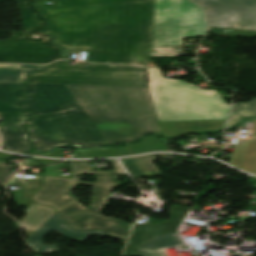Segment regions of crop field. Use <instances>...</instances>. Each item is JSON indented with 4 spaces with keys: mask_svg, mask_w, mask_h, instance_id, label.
<instances>
[{
    "mask_svg": "<svg viewBox=\"0 0 256 256\" xmlns=\"http://www.w3.org/2000/svg\"><path fill=\"white\" fill-rule=\"evenodd\" d=\"M34 5L51 23L45 33L62 49H87L86 61L148 65L154 0L52 9Z\"/></svg>",
    "mask_w": 256,
    "mask_h": 256,
    "instance_id": "8a807250",
    "label": "crop field"
},
{
    "mask_svg": "<svg viewBox=\"0 0 256 256\" xmlns=\"http://www.w3.org/2000/svg\"><path fill=\"white\" fill-rule=\"evenodd\" d=\"M108 145L161 133L148 88L66 84Z\"/></svg>",
    "mask_w": 256,
    "mask_h": 256,
    "instance_id": "ac0d7876",
    "label": "crop field"
},
{
    "mask_svg": "<svg viewBox=\"0 0 256 256\" xmlns=\"http://www.w3.org/2000/svg\"><path fill=\"white\" fill-rule=\"evenodd\" d=\"M147 72L151 98L164 137L224 128L230 105L216 90L165 79L158 68H148Z\"/></svg>",
    "mask_w": 256,
    "mask_h": 256,
    "instance_id": "34b2d1b8",
    "label": "crop field"
},
{
    "mask_svg": "<svg viewBox=\"0 0 256 256\" xmlns=\"http://www.w3.org/2000/svg\"><path fill=\"white\" fill-rule=\"evenodd\" d=\"M111 161L116 170L91 171L89 161L67 162L76 184L94 186L93 196L91 205L86 208L76 202L59 212L72 227L77 229L100 228L113 236L127 240L132 224L99 214L108 205L111 190L119 186L116 175H126L116 159ZM82 172L97 175L96 181L94 183L79 181L77 176Z\"/></svg>",
    "mask_w": 256,
    "mask_h": 256,
    "instance_id": "412701ff",
    "label": "crop field"
},
{
    "mask_svg": "<svg viewBox=\"0 0 256 256\" xmlns=\"http://www.w3.org/2000/svg\"><path fill=\"white\" fill-rule=\"evenodd\" d=\"M27 125L31 140L38 150L49 151L66 144L81 148L107 146L81 107L46 116H34L28 120Z\"/></svg>",
    "mask_w": 256,
    "mask_h": 256,
    "instance_id": "f4fd0767",
    "label": "crop field"
},
{
    "mask_svg": "<svg viewBox=\"0 0 256 256\" xmlns=\"http://www.w3.org/2000/svg\"><path fill=\"white\" fill-rule=\"evenodd\" d=\"M207 22L189 0H155L152 47L183 46V38L203 36Z\"/></svg>",
    "mask_w": 256,
    "mask_h": 256,
    "instance_id": "dd49c442",
    "label": "crop field"
},
{
    "mask_svg": "<svg viewBox=\"0 0 256 256\" xmlns=\"http://www.w3.org/2000/svg\"><path fill=\"white\" fill-rule=\"evenodd\" d=\"M145 73L146 68L120 65L86 64L85 69H75V66H53L31 75L29 82L146 87Z\"/></svg>",
    "mask_w": 256,
    "mask_h": 256,
    "instance_id": "e52e79f7",
    "label": "crop field"
},
{
    "mask_svg": "<svg viewBox=\"0 0 256 256\" xmlns=\"http://www.w3.org/2000/svg\"><path fill=\"white\" fill-rule=\"evenodd\" d=\"M206 8L214 34L256 38V0H193Z\"/></svg>",
    "mask_w": 256,
    "mask_h": 256,
    "instance_id": "d8731c3e",
    "label": "crop field"
},
{
    "mask_svg": "<svg viewBox=\"0 0 256 256\" xmlns=\"http://www.w3.org/2000/svg\"><path fill=\"white\" fill-rule=\"evenodd\" d=\"M42 32H14L0 40V62L47 63L59 58V50Z\"/></svg>",
    "mask_w": 256,
    "mask_h": 256,
    "instance_id": "5a996713",
    "label": "crop field"
},
{
    "mask_svg": "<svg viewBox=\"0 0 256 256\" xmlns=\"http://www.w3.org/2000/svg\"><path fill=\"white\" fill-rule=\"evenodd\" d=\"M29 102L22 106L34 115L50 114L80 106L65 84L28 83Z\"/></svg>",
    "mask_w": 256,
    "mask_h": 256,
    "instance_id": "3316defc",
    "label": "crop field"
},
{
    "mask_svg": "<svg viewBox=\"0 0 256 256\" xmlns=\"http://www.w3.org/2000/svg\"><path fill=\"white\" fill-rule=\"evenodd\" d=\"M10 184H16L24 188L22 192H13L12 195L15 197L18 206H29L28 209L24 211L27 216L19 222L26 230L27 236L29 237L55 213L54 209L48 206L34 204L28 199L30 195L33 194L34 190L39 188L42 184V176H36L33 181L12 178L9 185Z\"/></svg>",
    "mask_w": 256,
    "mask_h": 256,
    "instance_id": "28ad6ade",
    "label": "crop field"
},
{
    "mask_svg": "<svg viewBox=\"0 0 256 256\" xmlns=\"http://www.w3.org/2000/svg\"><path fill=\"white\" fill-rule=\"evenodd\" d=\"M56 231L61 235L83 243L92 233L106 235L99 230H89L79 232L69 228L59 219V214H54L48 221H46L40 228H38L28 239V243L35 253L55 251L58 250V244L44 246L42 239L50 232Z\"/></svg>",
    "mask_w": 256,
    "mask_h": 256,
    "instance_id": "d1516ede",
    "label": "crop field"
},
{
    "mask_svg": "<svg viewBox=\"0 0 256 256\" xmlns=\"http://www.w3.org/2000/svg\"><path fill=\"white\" fill-rule=\"evenodd\" d=\"M74 188V181L45 177V185L32 199L37 203L51 205L59 211L77 201L72 193Z\"/></svg>",
    "mask_w": 256,
    "mask_h": 256,
    "instance_id": "22f410ed",
    "label": "crop field"
},
{
    "mask_svg": "<svg viewBox=\"0 0 256 256\" xmlns=\"http://www.w3.org/2000/svg\"><path fill=\"white\" fill-rule=\"evenodd\" d=\"M6 127L0 128L4 144L2 149L22 153L31 149L29 140L23 125V120L30 115H20L12 113H0Z\"/></svg>",
    "mask_w": 256,
    "mask_h": 256,
    "instance_id": "cbeb9de0",
    "label": "crop field"
},
{
    "mask_svg": "<svg viewBox=\"0 0 256 256\" xmlns=\"http://www.w3.org/2000/svg\"><path fill=\"white\" fill-rule=\"evenodd\" d=\"M231 164L256 174V120L250 140H237Z\"/></svg>",
    "mask_w": 256,
    "mask_h": 256,
    "instance_id": "5142ce71",
    "label": "crop field"
},
{
    "mask_svg": "<svg viewBox=\"0 0 256 256\" xmlns=\"http://www.w3.org/2000/svg\"><path fill=\"white\" fill-rule=\"evenodd\" d=\"M25 83H1L0 82V112H12L31 114L19 110V105L26 99L21 98Z\"/></svg>",
    "mask_w": 256,
    "mask_h": 256,
    "instance_id": "d9b57169",
    "label": "crop field"
},
{
    "mask_svg": "<svg viewBox=\"0 0 256 256\" xmlns=\"http://www.w3.org/2000/svg\"><path fill=\"white\" fill-rule=\"evenodd\" d=\"M120 160L132 178L161 175L154 163L156 160L153 155Z\"/></svg>",
    "mask_w": 256,
    "mask_h": 256,
    "instance_id": "733c2abd",
    "label": "crop field"
},
{
    "mask_svg": "<svg viewBox=\"0 0 256 256\" xmlns=\"http://www.w3.org/2000/svg\"><path fill=\"white\" fill-rule=\"evenodd\" d=\"M168 247H183L177 234H159L143 244L140 250H144L143 256H163V249Z\"/></svg>",
    "mask_w": 256,
    "mask_h": 256,
    "instance_id": "4a817a6b",
    "label": "crop field"
},
{
    "mask_svg": "<svg viewBox=\"0 0 256 256\" xmlns=\"http://www.w3.org/2000/svg\"><path fill=\"white\" fill-rule=\"evenodd\" d=\"M48 65L0 64L1 82H25L28 74Z\"/></svg>",
    "mask_w": 256,
    "mask_h": 256,
    "instance_id": "bc2a9ffb",
    "label": "crop field"
},
{
    "mask_svg": "<svg viewBox=\"0 0 256 256\" xmlns=\"http://www.w3.org/2000/svg\"><path fill=\"white\" fill-rule=\"evenodd\" d=\"M36 0H19L24 31H42L47 21L33 7L31 3Z\"/></svg>",
    "mask_w": 256,
    "mask_h": 256,
    "instance_id": "214f88e0",
    "label": "crop field"
},
{
    "mask_svg": "<svg viewBox=\"0 0 256 256\" xmlns=\"http://www.w3.org/2000/svg\"><path fill=\"white\" fill-rule=\"evenodd\" d=\"M116 156L133 155L153 150H167L165 144L159 142L155 136L146 137L136 145H127L124 148H112Z\"/></svg>",
    "mask_w": 256,
    "mask_h": 256,
    "instance_id": "92a150f3",
    "label": "crop field"
},
{
    "mask_svg": "<svg viewBox=\"0 0 256 256\" xmlns=\"http://www.w3.org/2000/svg\"><path fill=\"white\" fill-rule=\"evenodd\" d=\"M241 116H255L256 117V98H252L251 102L238 103L233 105L228 127L239 122Z\"/></svg>",
    "mask_w": 256,
    "mask_h": 256,
    "instance_id": "dafd665d",
    "label": "crop field"
},
{
    "mask_svg": "<svg viewBox=\"0 0 256 256\" xmlns=\"http://www.w3.org/2000/svg\"><path fill=\"white\" fill-rule=\"evenodd\" d=\"M181 223L163 222L160 225H148L145 242L158 233H177Z\"/></svg>",
    "mask_w": 256,
    "mask_h": 256,
    "instance_id": "00972430",
    "label": "crop field"
},
{
    "mask_svg": "<svg viewBox=\"0 0 256 256\" xmlns=\"http://www.w3.org/2000/svg\"><path fill=\"white\" fill-rule=\"evenodd\" d=\"M124 1H136V0H56L53 8L77 6V5H88V4L124 2Z\"/></svg>",
    "mask_w": 256,
    "mask_h": 256,
    "instance_id": "a9b5d70f",
    "label": "crop field"
},
{
    "mask_svg": "<svg viewBox=\"0 0 256 256\" xmlns=\"http://www.w3.org/2000/svg\"><path fill=\"white\" fill-rule=\"evenodd\" d=\"M77 154L81 158H95V157H111L115 156L111 148L109 149H91V150H80L76 149Z\"/></svg>",
    "mask_w": 256,
    "mask_h": 256,
    "instance_id": "4177f3b9",
    "label": "crop field"
},
{
    "mask_svg": "<svg viewBox=\"0 0 256 256\" xmlns=\"http://www.w3.org/2000/svg\"><path fill=\"white\" fill-rule=\"evenodd\" d=\"M146 226L147 225L134 226L129 243L134 245L135 251H138L139 246L144 242Z\"/></svg>",
    "mask_w": 256,
    "mask_h": 256,
    "instance_id": "730fd06b",
    "label": "crop field"
},
{
    "mask_svg": "<svg viewBox=\"0 0 256 256\" xmlns=\"http://www.w3.org/2000/svg\"><path fill=\"white\" fill-rule=\"evenodd\" d=\"M190 207H179V206H172L171 208V218L167 221H174V222H182L184 216L189 211Z\"/></svg>",
    "mask_w": 256,
    "mask_h": 256,
    "instance_id": "eef30255",
    "label": "crop field"
},
{
    "mask_svg": "<svg viewBox=\"0 0 256 256\" xmlns=\"http://www.w3.org/2000/svg\"><path fill=\"white\" fill-rule=\"evenodd\" d=\"M13 170V167H6L0 165V185H5L6 182L11 178L12 174L10 172Z\"/></svg>",
    "mask_w": 256,
    "mask_h": 256,
    "instance_id": "ae1a2a85",
    "label": "crop field"
},
{
    "mask_svg": "<svg viewBox=\"0 0 256 256\" xmlns=\"http://www.w3.org/2000/svg\"><path fill=\"white\" fill-rule=\"evenodd\" d=\"M30 154H33V155H43V156L63 157L62 154H61L60 149H56V150H54L51 153H39L38 151H34V152L30 153Z\"/></svg>",
    "mask_w": 256,
    "mask_h": 256,
    "instance_id": "d3111659",
    "label": "crop field"
},
{
    "mask_svg": "<svg viewBox=\"0 0 256 256\" xmlns=\"http://www.w3.org/2000/svg\"><path fill=\"white\" fill-rule=\"evenodd\" d=\"M123 256H142L139 252L133 250V245L128 244Z\"/></svg>",
    "mask_w": 256,
    "mask_h": 256,
    "instance_id": "750c4746",
    "label": "crop field"
},
{
    "mask_svg": "<svg viewBox=\"0 0 256 256\" xmlns=\"http://www.w3.org/2000/svg\"><path fill=\"white\" fill-rule=\"evenodd\" d=\"M26 161L22 162L25 166H39L41 164L31 160V159H27V158H24Z\"/></svg>",
    "mask_w": 256,
    "mask_h": 256,
    "instance_id": "bd1437ed",
    "label": "crop field"
},
{
    "mask_svg": "<svg viewBox=\"0 0 256 256\" xmlns=\"http://www.w3.org/2000/svg\"><path fill=\"white\" fill-rule=\"evenodd\" d=\"M37 160L44 165L59 162V160H50V159H37Z\"/></svg>",
    "mask_w": 256,
    "mask_h": 256,
    "instance_id": "1d83c4d3",
    "label": "crop field"
},
{
    "mask_svg": "<svg viewBox=\"0 0 256 256\" xmlns=\"http://www.w3.org/2000/svg\"><path fill=\"white\" fill-rule=\"evenodd\" d=\"M4 157H13V155H8V154L0 153V158H4Z\"/></svg>",
    "mask_w": 256,
    "mask_h": 256,
    "instance_id": "120bbe31",
    "label": "crop field"
},
{
    "mask_svg": "<svg viewBox=\"0 0 256 256\" xmlns=\"http://www.w3.org/2000/svg\"><path fill=\"white\" fill-rule=\"evenodd\" d=\"M1 163H7V161L6 160H0V164Z\"/></svg>",
    "mask_w": 256,
    "mask_h": 256,
    "instance_id": "d32e631a",
    "label": "crop field"
}]
</instances>
